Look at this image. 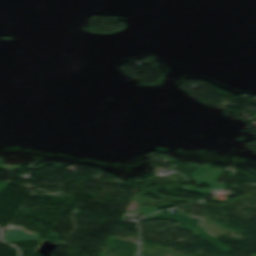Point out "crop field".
<instances>
[{
  "mask_svg": "<svg viewBox=\"0 0 256 256\" xmlns=\"http://www.w3.org/2000/svg\"><path fill=\"white\" fill-rule=\"evenodd\" d=\"M36 238H38L36 233H29L21 227H10L2 235V240L5 242Z\"/></svg>",
  "mask_w": 256,
  "mask_h": 256,
  "instance_id": "obj_1",
  "label": "crop field"
}]
</instances>
